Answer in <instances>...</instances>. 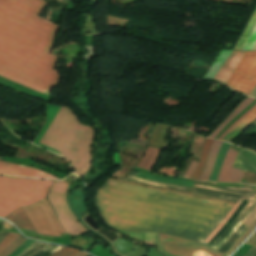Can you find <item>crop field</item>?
I'll use <instances>...</instances> for the list:
<instances>
[{
	"mask_svg": "<svg viewBox=\"0 0 256 256\" xmlns=\"http://www.w3.org/2000/svg\"><path fill=\"white\" fill-rule=\"evenodd\" d=\"M79 252V250L67 248L63 250L62 252L58 253L55 256H73L75 253Z\"/></svg>",
	"mask_w": 256,
	"mask_h": 256,
	"instance_id": "27",
	"label": "crop field"
},
{
	"mask_svg": "<svg viewBox=\"0 0 256 256\" xmlns=\"http://www.w3.org/2000/svg\"><path fill=\"white\" fill-rule=\"evenodd\" d=\"M237 153L238 152L234 151L231 146L229 147L220 170L218 181H241L244 172L239 169L232 168Z\"/></svg>",
	"mask_w": 256,
	"mask_h": 256,
	"instance_id": "7",
	"label": "crop field"
},
{
	"mask_svg": "<svg viewBox=\"0 0 256 256\" xmlns=\"http://www.w3.org/2000/svg\"><path fill=\"white\" fill-rule=\"evenodd\" d=\"M245 51H233L231 55L227 58L215 76L212 78L214 81H218L220 83H225L226 80L231 76L235 67L239 63Z\"/></svg>",
	"mask_w": 256,
	"mask_h": 256,
	"instance_id": "10",
	"label": "crop field"
},
{
	"mask_svg": "<svg viewBox=\"0 0 256 256\" xmlns=\"http://www.w3.org/2000/svg\"><path fill=\"white\" fill-rule=\"evenodd\" d=\"M197 164H198L197 161H193V160L191 161V163H190V165H189V167H188V169H187V171L184 175L185 178H189V179L191 178Z\"/></svg>",
	"mask_w": 256,
	"mask_h": 256,
	"instance_id": "26",
	"label": "crop field"
},
{
	"mask_svg": "<svg viewBox=\"0 0 256 256\" xmlns=\"http://www.w3.org/2000/svg\"><path fill=\"white\" fill-rule=\"evenodd\" d=\"M7 218L10 219L18 228H28L34 230L31 222L21 209L8 215Z\"/></svg>",
	"mask_w": 256,
	"mask_h": 256,
	"instance_id": "18",
	"label": "crop field"
},
{
	"mask_svg": "<svg viewBox=\"0 0 256 256\" xmlns=\"http://www.w3.org/2000/svg\"><path fill=\"white\" fill-rule=\"evenodd\" d=\"M233 167L239 168L244 172L249 170L256 173V155L249 150L242 148L235 160Z\"/></svg>",
	"mask_w": 256,
	"mask_h": 256,
	"instance_id": "12",
	"label": "crop field"
},
{
	"mask_svg": "<svg viewBox=\"0 0 256 256\" xmlns=\"http://www.w3.org/2000/svg\"><path fill=\"white\" fill-rule=\"evenodd\" d=\"M26 239L21 237L20 235L8 246L6 247L1 253L0 256H8L11 254L18 246H20Z\"/></svg>",
	"mask_w": 256,
	"mask_h": 256,
	"instance_id": "21",
	"label": "crop field"
},
{
	"mask_svg": "<svg viewBox=\"0 0 256 256\" xmlns=\"http://www.w3.org/2000/svg\"><path fill=\"white\" fill-rule=\"evenodd\" d=\"M234 49L256 50V9Z\"/></svg>",
	"mask_w": 256,
	"mask_h": 256,
	"instance_id": "9",
	"label": "crop field"
},
{
	"mask_svg": "<svg viewBox=\"0 0 256 256\" xmlns=\"http://www.w3.org/2000/svg\"><path fill=\"white\" fill-rule=\"evenodd\" d=\"M18 234L15 233H9L7 237L4 239V241L0 244V252L7 246L9 245L16 237Z\"/></svg>",
	"mask_w": 256,
	"mask_h": 256,
	"instance_id": "24",
	"label": "crop field"
},
{
	"mask_svg": "<svg viewBox=\"0 0 256 256\" xmlns=\"http://www.w3.org/2000/svg\"><path fill=\"white\" fill-rule=\"evenodd\" d=\"M8 233H1L0 234V243L2 242V240L5 238V236L7 235Z\"/></svg>",
	"mask_w": 256,
	"mask_h": 256,
	"instance_id": "30",
	"label": "crop field"
},
{
	"mask_svg": "<svg viewBox=\"0 0 256 256\" xmlns=\"http://www.w3.org/2000/svg\"><path fill=\"white\" fill-rule=\"evenodd\" d=\"M68 187L67 182L56 180L48 198L58 216V219L66 233L79 235L87 230L74 217L67 206L65 192Z\"/></svg>",
	"mask_w": 256,
	"mask_h": 256,
	"instance_id": "4",
	"label": "crop field"
},
{
	"mask_svg": "<svg viewBox=\"0 0 256 256\" xmlns=\"http://www.w3.org/2000/svg\"><path fill=\"white\" fill-rule=\"evenodd\" d=\"M242 182L256 184V174L247 171Z\"/></svg>",
	"mask_w": 256,
	"mask_h": 256,
	"instance_id": "25",
	"label": "crop field"
},
{
	"mask_svg": "<svg viewBox=\"0 0 256 256\" xmlns=\"http://www.w3.org/2000/svg\"><path fill=\"white\" fill-rule=\"evenodd\" d=\"M254 99L246 97L230 114L229 116L217 127V129L212 133L210 138L214 139L217 134L247 105H249Z\"/></svg>",
	"mask_w": 256,
	"mask_h": 256,
	"instance_id": "16",
	"label": "crop field"
},
{
	"mask_svg": "<svg viewBox=\"0 0 256 256\" xmlns=\"http://www.w3.org/2000/svg\"><path fill=\"white\" fill-rule=\"evenodd\" d=\"M160 150L161 149L158 148L148 147L147 151L145 152L141 161L138 163L137 167L151 171L159 156Z\"/></svg>",
	"mask_w": 256,
	"mask_h": 256,
	"instance_id": "14",
	"label": "crop field"
},
{
	"mask_svg": "<svg viewBox=\"0 0 256 256\" xmlns=\"http://www.w3.org/2000/svg\"><path fill=\"white\" fill-rule=\"evenodd\" d=\"M225 85L249 95L256 86V51H246Z\"/></svg>",
	"mask_w": 256,
	"mask_h": 256,
	"instance_id": "5",
	"label": "crop field"
},
{
	"mask_svg": "<svg viewBox=\"0 0 256 256\" xmlns=\"http://www.w3.org/2000/svg\"><path fill=\"white\" fill-rule=\"evenodd\" d=\"M53 181L0 176V217L44 198Z\"/></svg>",
	"mask_w": 256,
	"mask_h": 256,
	"instance_id": "3",
	"label": "crop field"
},
{
	"mask_svg": "<svg viewBox=\"0 0 256 256\" xmlns=\"http://www.w3.org/2000/svg\"><path fill=\"white\" fill-rule=\"evenodd\" d=\"M221 144H222L221 141H216V140L213 141L207 164H206L205 169L200 177L201 181H208L209 175L212 171V168H213V165H214V162H215V159H216V156L218 154Z\"/></svg>",
	"mask_w": 256,
	"mask_h": 256,
	"instance_id": "13",
	"label": "crop field"
},
{
	"mask_svg": "<svg viewBox=\"0 0 256 256\" xmlns=\"http://www.w3.org/2000/svg\"><path fill=\"white\" fill-rule=\"evenodd\" d=\"M105 223L113 228L163 232L203 242L229 212L232 203L108 181L95 197ZM201 242L160 234L164 251L175 256L201 252L223 256Z\"/></svg>",
	"mask_w": 256,
	"mask_h": 256,
	"instance_id": "1",
	"label": "crop field"
},
{
	"mask_svg": "<svg viewBox=\"0 0 256 256\" xmlns=\"http://www.w3.org/2000/svg\"><path fill=\"white\" fill-rule=\"evenodd\" d=\"M255 123H256V121H255Z\"/></svg>",
	"mask_w": 256,
	"mask_h": 256,
	"instance_id": "32",
	"label": "crop field"
},
{
	"mask_svg": "<svg viewBox=\"0 0 256 256\" xmlns=\"http://www.w3.org/2000/svg\"><path fill=\"white\" fill-rule=\"evenodd\" d=\"M256 107V104L252 107V108H250L243 116H241L233 125H231L218 139L219 140H221L223 137H224V135L231 129V128H233L240 120H242L253 108H255Z\"/></svg>",
	"mask_w": 256,
	"mask_h": 256,
	"instance_id": "28",
	"label": "crop field"
},
{
	"mask_svg": "<svg viewBox=\"0 0 256 256\" xmlns=\"http://www.w3.org/2000/svg\"><path fill=\"white\" fill-rule=\"evenodd\" d=\"M256 118V108L239 124H237L222 140L230 141L238 135L247 125H249Z\"/></svg>",
	"mask_w": 256,
	"mask_h": 256,
	"instance_id": "17",
	"label": "crop field"
},
{
	"mask_svg": "<svg viewBox=\"0 0 256 256\" xmlns=\"http://www.w3.org/2000/svg\"><path fill=\"white\" fill-rule=\"evenodd\" d=\"M93 138L90 127L80 125L71 109L61 107L40 143L58 150L81 178L90 167Z\"/></svg>",
	"mask_w": 256,
	"mask_h": 256,
	"instance_id": "2",
	"label": "crop field"
},
{
	"mask_svg": "<svg viewBox=\"0 0 256 256\" xmlns=\"http://www.w3.org/2000/svg\"><path fill=\"white\" fill-rule=\"evenodd\" d=\"M255 255H256V243L244 256H255Z\"/></svg>",
	"mask_w": 256,
	"mask_h": 256,
	"instance_id": "29",
	"label": "crop field"
},
{
	"mask_svg": "<svg viewBox=\"0 0 256 256\" xmlns=\"http://www.w3.org/2000/svg\"><path fill=\"white\" fill-rule=\"evenodd\" d=\"M168 129L167 126L157 124L149 139L148 146L162 148Z\"/></svg>",
	"mask_w": 256,
	"mask_h": 256,
	"instance_id": "15",
	"label": "crop field"
},
{
	"mask_svg": "<svg viewBox=\"0 0 256 256\" xmlns=\"http://www.w3.org/2000/svg\"><path fill=\"white\" fill-rule=\"evenodd\" d=\"M35 241L27 239L18 249H16L11 255L9 256H19L25 250H27Z\"/></svg>",
	"mask_w": 256,
	"mask_h": 256,
	"instance_id": "22",
	"label": "crop field"
},
{
	"mask_svg": "<svg viewBox=\"0 0 256 256\" xmlns=\"http://www.w3.org/2000/svg\"><path fill=\"white\" fill-rule=\"evenodd\" d=\"M194 187H199V188H207V189H212V190H217V191H222V192H228V193H233V194H238V195H243L249 197L251 194L252 189H245V188H220L212 185H207V184H199L196 183Z\"/></svg>",
	"mask_w": 256,
	"mask_h": 256,
	"instance_id": "19",
	"label": "crop field"
},
{
	"mask_svg": "<svg viewBox=\"0 0 256 256\" xmlns=\"http://www.w3.org/2000/svg\"><path fill=\"white\" fill-rule=\"evenodd\" d=\"M250 96L256 97V87H255V89L251 92Z\"/></svg>",
	"mask_w": 256,
	"mask_h": 256,
	"instance_id": "31",
	"label": "crop field"
},
{
	"mask_svg": "<svg viewBox=\"0 0 256 256\" xmlns=\"http://www.w3.org/2000/svg\"><path fill=\"white\" fill-rule=\"evenodd\" d=\"M212 141H213L212 139H208V138L206 139V143L199 160V165L192 177L193 180H198L204 169Z\"/></svg>",
	"mask_w": 256,
	"mask_h": 256,
	"instance_id": "20",
	"label": "crop field"
},
{
	"mask_svg": "<svg viewBox=\"0 0 256 256\" xmlns=\"http://www.w3.org/2000/svg\"><path fill=\"white\" fill-rule=\"evenodd\" d=\"M0 174L57 179L52 175L41 172L31 167L16 165L2 161H0Z\"/></svg>",
	"mask_w": 256,
	"mask_h": 256,
	"instance_id": "8",
	"label": "crop field"
},
{
	"mask_svg": "<svg viewBox=\"0 0 256 256\" xmlns=\"http://www.w3.org/2000/svg\"><path fill=\"white\" fill-rule=\"evenodd\" d=\"M43 202L45 203V205L47 206L48 210L50 211L51 216H52V218H53V220H54V222H55V224H56V226H57V228H58L60 234H65L64 231H63V229L61 228V226H60V224H59V222H58V220H57V218H56L54 212L52 211V209H51V207H50V205H49V202H48L47 198L43 199Z\"/></svg>",
	"mask_w": 256,
	"mask_h": 256,
	"instance_id": "23",
	"label": "crop field"
},
{
	"mask_svg": "<svg viewBox=\"0 0 256 256\" xmlns=\"http://www.w3.org/2000/svg\"><path fill=\"white\" fill-rule=\"evenodd\" d=\"M256 220V206L254 210L248 215V217L241 223V225L235 230L225 244L218 250L225 254L228 248L254 223Z\"/></svg>",
	"mask_w": 256,
	"mask_h": 256,
	"instance_id": "11",
	"label": "crop field"
},
{
	"mask_svg": "<svg viewBox=\"0 0 256 256\" xmlns=\"http://www.w3.org/2000/svg\"><path fill=\"white\" fill-rule=\"evenodd\" d=\"M36 232L42 235L60 236L47 208L42 200L28 207H23Z\"/></svg>",
	"mask_w": 256,
	"mask_h": 256,
	"instance_id": "6",
	"label": "crop field"
}]
</instances>
